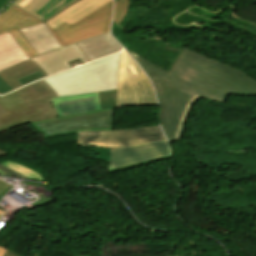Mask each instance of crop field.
I'll list each match as a JSON object with an SVG mask.
<instances>
[{
	"label": "crop field",
	"instance_id": "1",
	"mask_svg": "<svg viewBox=\"0 0 256 256\" xmlns=\"http://www.w3.org/2000/svg\"><path fill=\"white\" fill-rule=\"evenodd\" d=\"M127 51L153 82L158 117L170 142L180 140L189 110L199 98L226 102L229 95L256 96V80L189 49H183L168 72Z\"/></svg>",
	"mask_w": 256,
	"mask_h": 256
},
{
	"label": "crop field",
	"instance_id": "2",
	"mask_svg": "<svg viewBox=\"0 0 256 256\" xmlns=\"http://www.w3.org/2000/svg\"><path fill=\"white\" fill-rule=\"evenodd\" d=\"M121 53L44 79L60 96L117 89Z\"/></svg>",
	"mask_w": 256,
	"mask_h": 256
},
{
	"label": "crop field",
	"instance_id": "3",
	"mask_svg": "<svg viewBox=\"0 0 256 256\" xmlns=\"http://www.w3.org/2000/svg\"><path fill=\"white\" fill-rule=\"evenodd\" d=\"M117 105H157L149 79L125 50L119 70Z\"/></svg>",
	"mask_w": 256,
	"mask_h": 256
},
{
	"label": "crop field",
	"instance_id": "4",
	"mask_svg": "<svg viewBox=\"0 0 256 256\" xmlns=\"http://www.w3.org/2000/svg\"><path fill=\"white\" fill-rule=\"evenodd\" d=\"M114 108L31 123L46 139L76 131L112 130Z\"/></svg>",
	"mask_w": 256,
	"mask_h": 256
},
{
	"label": "crop field",
	"instance_id": "5",
	"mask_svg": "<svg viewBox=\"0 0 256 256\" xmlns=\"http://www.w3.org/2000/svg\"><path fill=\"white\" fill-rule=\"evenodd\" d=\"M164 139L159 125L120 131L77 132L78 145L111 149Z\"/></svg>",
	"mask_w": 256,
	"mask_h": 256
},
{
	"label": "crop field",
	"instance_id": "6",
	"mask_svg": "<svg viewBox=\"0 0 256 256\" xmlns=\"http://www.w3.org/2000/svg\"><path fill=\"white\" fill-rule=\"evenodd\" d=\"M113 1L78 22L51 29L62 47L109 32Z\"/></svg>",
	"mask_w": 256,
	"mask_h": 256
},
{
	"label": "crop field",
	"instance_id": "7",
	"mask_svg": "<svg viewBox=\"0 0 256 256\" xmlns=\"http://www.w3.org/2000/svg\"><path fill=\"white\" fill-rule=\"evenodd\" d=\"M0 106L9 113L0 117V132L24 123L58 116L50 99L28 107L16 91L0 97Z\"/></svg>",
	"mask_w": 256,
	"mask_h": 256
},
{
	"label": "crop field",
	"instance_id": "8",
	"mask_svg": "<svg viewBox=\"0 0 256 256\" xmlns=\"http://www.w3.org/2000/svg\"><path fill=\"white\" fill-rule=\"evenodd\" d=\"M173 154L166 140L111 150L109 170Z\"/></svg>",
	"mask_w": 256,
	"mask_h": 256
},
{
	"label": "crop field",
	"instance_id": "9",
	"mask_svg": "<svg viewBox=\"0 0 256 256\" xmlns=\"http://www.w3.org/2000/svg\"><path fill=\"white\" fill-rule=\"evenodd\" d=\"M38 23L41 22L19 10L18 8L10 5L8 9L0 16V34L9 32L24 50L26 55L31 58L33 56H37V54L27 43L19 29L33 26Z\"/></svg>",
	"mask_w": 256,
	"mask_h": 256
},
{
	"label": "crop field",
	"instance_id": "10",
	"mask_svg": "<svg viewBox=\"0 0 256 256\" xmlns=\"http://www.w3.org/2000/svg\"><path fill=\"white\" fill-rule=\"evenodd\" d=\"M78 58H80L83 63L89 62L88 58L84 55L80 48L74 44L70 47L56 50L41 57L34 58L33 60L48 76H50L62 70L71 68L67 62Z\"/></svg>",
	"mask_w": 256,
	"mask_h": 256
},
{
	"label": "crop field",
	"instance_id": "11",
	"mask_svg": "<svg viewBox=\"0 0 256 256\" xmlns=\"http://www.w3.org/2000/svg\"><path fill=\"white\" fill-rule=\"evenodd\" d=\"M51 100L59 116L100 109L98 93L57 97Z\"/></svg>",
	"mask_w": 256,
	"mask_h": 256
},
{
	"label": "crop field",
	"instance_id": "12",
	"mask_svg": "<svg viewBox=\"0 0 256 256\" xmlns=\"http://www.w3.org/2000/svg\"><path fill=\"white\" fill-rule=\"evenodd\" d=\"M78 0H16L12 4L46 21Z\"/></svg>",
	"mask_w": 256,
	"mask_h": 256
},
{
	"label": "crop field",
	"instance_id": "13",
	"mask_svg": "<svg viewBox=\"0 0 256 256\" xmlns=\"http://www.w3.org/2000/svg\"><path fill=\"white\" fill-rule=\"evenodd\" d=\"M110 1L112 0H80L45 23L52 29L64 22L72 24Z\"/></svg>",
	"mask_w": 256,
	"mask_h": 256
},
{
	"label": "crop field",
	"instance_id": "14",
	"mask_svg": "<svg viewBox=\"0 0 256 256\" xmlns=\"http://www.w3.org/2000/svg\"><path fill=\"white\" fill-rule=\"evenodd\" d=\"M21 32L38 55L62 48L43 23L22 29Z\"/></svg>",
	"mask_w": 256,
	"mask_h": 256
},
{
	"label": "crop field",
	"instance_id": "15",
	"mask_svg": "<svg viewBox=\"0 0 256 256\" xmlns=\"http://www.w3.org/2000/svg\"><path fill=\"white\" fill-rule=\"evenodd\" d=\"M90 61L121 51L109 33L77 44Z\"/></svg>",
	"mask_w": 256,
	"mask_h": 256
},
{
	"label": "crop field",
	"instance_id": "16",
	"mask_svg": "<svg viewBox=\"0 0 256 256\" xmlns=\"http://www.w3.org/2000/svg\"><path fill=\"white\" fill-rule=\"evenodd\" d=\"M28 59L9 33L0 35V70Z\"/></svg>",
	"mask_w": 256,
	"mask_h": 256
},
{
	"label": "crop field",
	"instance_id": "17",
	"mask_svg": "<svg viewBox=\"0 0 256 256\" xmlns=\"http://www.w3.org/2000/svg\"><path fill=\"white\" fill-rule=\"evenodd\" d=\"M39 71L45 77L47 75L39 68V66L32 60L25 61L3 71H0V77L13 89H17L22 85L17 79L27 76L29 74ZM43 77V78H45ZM42 79V78H41ZM39 80V79H38ZM37 81V80H36ZM35 82V81H34ZM32 83V82H31ZM30 84V83H29Z\"/></svg>",
	"mask_w": 256,
	"mask_h": 256
},
{
	"label": "crop field",
	"instance_id": "18",
	"mask_svg": "<svg viewBox=\"0 0 256 256\" xmlns=\"http://www.w3.org/2000/svg\"><path fill=\"white\" fill-rule=\"evenodd\" d=\"M27 105H32L40 101L59 96L43 80L25 86L17 90Z\"/></svg>",
	"mask_w": 256,
	"mask_h": 256
},
{
	"label": "crop field",
	"instance_id": "19",
	"mask_svg": "<svg viewBox=\"0 0 256 256\" xmlns=\"http://www.w3.org/2000/svg\"><path fill=\"white\" fill-rule=\"evenodd\" d=\"M1 164L10 168V169H12V170H14V171H16V172H18V173H20V174H23V175L31 178L32 180L41 181V182H43L45 180V179L43 180L42 176L38 172H36V171H34L30 168H27V167H25V166H23V165H21L17 162L5 161Z\"/></svg>",
	"mask_w": 256,
	"mask_h": 256
},
{
	"label": "crop field",
	"instance_id": "20",
	"mask_svg": "<svg viewBox=\"0 0 256 256\" xmlns=\"http://www.w3.org/2000/svg\"><path fill=\"white\" fill-rule=\"evenodd\" d=\"M117 90L99 93L101 109L116 106Z\"/></svg>",
	"mask_w": 256,
	"mask_h": 256
},
{
	"label": "crop field",
	"instance_id": "21",
	"mask_svg": "<svg viewBox=\"0 0 256 256\" xmlns=\"http://www.w3.org/2000/svg\"><path fill=\"white\" fill-rule=\"evenodd\" d=\"M128 8V0H119L115 3L114 18L113 21L119 24Z\"/></svg>",
	"mask_w": 256,
	"mask_h": 256
},
{
	"label": "crop field",
	"instance_id": "22",
	"mask_svg": "<svg viewBox=\"0 0 256 256\" xmlns=\"http://www.w3.org/2000/svg\"><path fill=\"white\" fill-rule=\"evenodd\" d=\"M4 153H5L4 151L0 150V156H2ZM0 170L5 172L9 176H14V177H18V178H26V177H24V176H22V175H20V174H18L16 172H14V171H12V170L2 166L1 164H0Z\"/></svg>",
	"mask_w": 256,
	"mask_h": 256
},
{
	"label": "crop field",
	"instance_id": "23",
	"mask_svg": "<svg viewBox=\"0 0 256 256\" xmlns=\"http://www.w3.org/2000/svg\"><path fill=\"white\" fill-rule=\"evenodd\" d=\"M43 77V75H41L39 72L35 73V74H32V75H29L27 77H24V78H21L19 79V81L21 82L22 85L26 84V83H29L33 80H36L38 78H41Z\"/></svg>",
	"mask_w": 256,
	"mask_h": 256
},
{
	"label": "crop field",
	"instance_id": "24",
	"mask_svg": "<svg viewBox=\"0 0 256 256\" xmlns=\"http://www.w3.org/2000/svg\"><path fill=\"white\" fill-rule=\"evenodd\" d=\"M12 91V89L0 78V95Z\"/></svg>",
	"mask_w": 256,
	"mask_h": 256
},
{
	"label": "crop field",
	"instance_id": "25",
	"mask_svg": "<svg viewBox=\"0 0 256 256\" xmlns=\"http://www.w3.org/2000/svg\"><path fill=\"white\" fill-rule=\"evenodd\" d=\"M9 185L5 183L4 181L0 180V196L9 189Z\"/></svg>",
	"mask_w": 256,
	"mask_h": 256
},
{
	"label": "crop field",
	"instance_id": "26",
	"mask_svg": "<svg viewBox=\"0 0 256 256\" xmlns=\"http://www.w3.org/2000/svg\"><path fill=\"white\" fill-rule=\"evenodd\" d=\"M3 256H19V255L7 250Z\"/></svg>",
	"mask_w": 256,
	"mask_h": 256
},
{
	"label": "crop field",
	"instance_id": "27",
	"mask_svg": "<svg viewBox=\"0 0 256 256\" xmlns=\"http://www.w3.org/2000/svg\"><path fill=\"white\" fill-rule=\"evenodd\" d=\"M10 0H0V9L3 8Z\"/></svg>",
	"mask_w": 256,
	"mask_h": 256
},
{
	"label": "crop field",
	"instance_id": "28",
	"mask_svg": "<svg viewBox=\"0 0 256 256\" xmlns=\"http://www.w3.org/2000/svg\"><path fill=\"white\" fill-rule=\"evenodd\" d=\"M5 114H7V112L2 107H0V116Z\"/></svg>",
	"mask_w": 256,
	"mask_h": 256
},
{
	"label": "crop field",
	"instance_id": "29",
	"mask_svg": "<svg viewBox=\"0 0 256 256\" xmlns=\"http://www.w3.org/2000/svg\"><path fill=\"white\" fill-rule=\"evenodd\" d=\"M5 251H6V249H3V248L1 247V248H0V256H2Z\"/></svg>",
	"mask_w": 256,
	"mask_h": 256
},
{
	"label": "crop field",
	"instance_id": "30",
	"mask_svg": "<svg viewBox=\"0 0 256 256\" xmlns=\"http://www.w3.org/2000/svg\"><path fill=\"white\" fill-rule=\"evenodd\" d=\"M0 174L6 175V174H4V173H2V172H0Z\"/></svg>",
	"mask_w": 256,
	"mask_h": 256
},
{
	"label": "crop field",
	"instance_id": "31",
	"mask_svg": "<svg viewBox=\"0 0 256 256\" xmlns=\"http://www.w3.org/2000/svg\"><path fill=\"white\" fill-rule=\"evenodd\" d=\"M0 212L5 213L4 211H1V210H0Z\"/></svg>",
	"mask_w": 256,
	"mask_h": 256
},
{
	"label": "crop field",
	"instance_id": "32",
	"mask_svg": "<svg viewBox=\"0 0 256 256\" xmlns=\"http://www.w3.org/2000/svg\"><path fill=\"white\" fill-rule=\"evenodd\" d=\"M0 214H2V213H0Z\"/></svg>",
	"mask_w": 256,
	"mask_h": 256
}]
</instances>
